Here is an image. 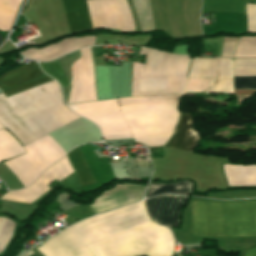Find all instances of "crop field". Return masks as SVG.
<instances>
[{"mask_svg": "<svg viewBox=\"0 0 256 256\" xmlns=\"http://www.w3.org/2000/svg\"><path fill=\"white\" fill-rule=\"evenodd\" d=\"M23 148L27 153L10 159L4 164L13 171L24 187L33 182L44 168L66 154L49 134Z\"/></svg>", "mask_w": 256, "mask_h": 256, "instance_id": "obj_5", "label": "crop field"}, {"mask_svg": "<svg viewBox=\"0 0 256 256\" xmlns=\"http://www.w3.org/2000/svg\"><path fill=\"white\" fill-rule=\"evenodd\" d=\"M247 32H256V5L246 4Z\"/></svg>", "mask_w": 256, "mask_h": 256, "instance_id": "obj_22", "label": "crop field"}, {"mask_svg": "<svg viewBox=\"0 0 256 256\" xmlns=\"http://www.w3.org/2000/svg\"><path fill=\"white\" fill-rule=\"evenodd\" d=\"M94 37H78L64 39L56 44H50L45 48L36 49L29 48L22 51L21 54L29 59H37L41 61H50L58 56L71 52L81 47L93 46Z\"/></svg>", "mask_w": 256, "mask_h": 256, "instance_id": "obj_11", "label": "crop field"}, {"mask_svg": "<svg viewBox=\"0 0 256 256\" xmlns=\"http://www.w3.org/2000/svg\"><path fill=\"white\" fill-rule=\"evenodd\" d=\"M146 186L129 184L116 185L115 188L103 192L91 205L95 214L112 210L132 202L141 200Z\"/></svg>", "mask_w": 256, "mask_h": 256, "instance_id": "obj_10", "label": "crop field"}, {"mask_svg": "<svg viewBox=\"0 0 256 256\" xmlns=\"http://www.w3.org/2000/svg\"><path fill=\"white\" fill-rule=\"evenodd\" d=\"M256 57V37H240L237 41L234 58Z\"/></svg>", "mask_w": 256, "mask_h": 256, "instance_id": "obj_18", "label": "crop field"}, {"mask_svg": "<svg viewBox=\"0 0 256 256\" xmlns=\"http://www.w3.org/2000/svg\"><path fill=\"white\" fill-rule=\"evenodd\" d=\"M241 256H256V246L246 249Z\"/></svg>", "mask_w": 256, "mask_h": 256, "instance_id": "obj_23", "label": "crop field"}, {"mask_svg": "<svg viewBox=\"0 0 256 256\" xmlns=\"http://www.w3.org/2000/svg\"><path fill=\"white\" fill-rule=\"evenodd\" d=\"M80 53L81 57L71 66L72 82L67 104L96 100L92 48L82 49Z\"/></svg>", "mask_w": 256, "mask_h": 256, "instance_id": "obj_6", "label": "crop field"}, {"mask_svg": "<svg viewBox=\"0 0 256 256\" xmlns=\"http://www.w3.org/2000/svg\"><path fill=\"white\" fill-rule=\"evenodd\" d=\"M74 114L54 80L6 98L0 94V123L23 145L79 118Z\"/></svg>", "mask_w": 256, "mask_h": 256, "instance_id": "obj_2", "label": "crop field"}, {"mask_svg": "<svg viewBox=\"0 0 256 256\" xmlns=\"http://www.w3.org/2000/svg\"><path fill=\"white\" fill-rule=\"evenodd\" d=\"M14 222L0 217V253L3 251L5 245L12 235Z\"/></svg>", "mask_w": 256, "mask_h": 256, "instance_id": "obj_20", "label": "crop field"}, {"mask_svg": "<svg viewBox=\"0 0 256 256\" xmlns=\"http://www.w3.org/2000/svg\"><path fill=\"white\" fill-rule=\"evenodd\" d=\"M140 54L146 65L132 62L131 96L182 93L190 57L142 47Z\"/></svg>", "mask_w": 256, "mask_h": 256, "instance_id": "obj_3", "label": "crop field"}, {"mask_svg": "<svg viewBox=\"0 0 256 256\" xmlns=\"http://www.w3.org/2000/svg\"><path fill=\"white\" fill-rule=\"evenodd\" d=\"M191 122L192 118L190 114H180L174 134L164 147L188 150L191 152L198 140L197 132L190 128Z\"/></svg>", "mask_w": 256, "mask_h": 256, "instance_id": "obj_12", "label": "crop field"}, {"mask_svg": "<svg viewBox=\"0 0 256 256\" xmlns=\"http://www.w3.org/2000/svg\"><path fill=\"white\" fill-rule=\"evenodd\" d=\"M71 173H73V171L66 156H64L60 161L46 169L42 175L27 188L20 191H8L1 199L31 203L49 190L46 186L55 179L60 182Z\"/></svg>", "mask_w": 256, "mask_h": 256, "instance_id": "obj_7", "label": "crop field"}, {"mask_svg": "<svg viewBox=\"0 0 256 256\" xmlns=\"http://www.w3.org/2000/svg\"><path fill=\"white\" fill-rule=\"evenodd\" d=\"M192 185L188 181L174 184L149 183L145 197H152L163 193H180L191 195Z\"/></svg>", "mask_w": 256, "mask_h": 256, "instance_id": "obj_16", "label": "crop field"}, {"mask_svg": "<svg viewBox=\"0 0 256 256\" xmlns=\"http://www.w3.org/2000/svg\"><path fill=\"white\" fill-rule=\"evenodd\" d=\"M208 78L187 79L185 91H204L208 89Z\"/></svg>", "mask_w": 256, "mask_h": 256, "instance_id": "obj_21", "label": "crop field"}, {"mask_svg": "<svg viewBox=\"0 0 256 256\" xmlns=\"http://www.w3.org/2000/svg\"><path fill=\"white\" fill-rule=\"evenodd\" d=\"M234 75H256V59H234ZM234 89H256V76H234Z\"/></svg>", "mask_w": 256, "mask_h": 256, "instance_id": "obj_14", "label": "crop field"}, {"mask_svg": "<svg viewBox=\"0 0 256 256\" xmlns=\"http://www.w3.org/2000/svg\"><path fill=\"white\" fill-rule=\"evenodd\" d=\"M52 80L43 74L34 61L0 76V90L6 95Z\"/></svg>", "mask_w": 256, "mask_h": 256, "instance_id": "obj_9", "label": "crop field"}, {"mask_svg": "<svg viewBox=\"0 0 256 256\" xmlns=\"http://www.w3.org/2000/svg\"><path fill=\"white\" fill-rule=\"evenodd\" d=\"M24 153V150L8 131L3 128L0 130V161L15 157Z\"/></svg>", "mask_w": 256, "mask_h": 256, "instance_id": "obj_17", "label": "crop field"}, {"mask_svg": "<svg viewBox=\"0 0 256 256\" xmlns=\"http://www.w3.org/2000/svg\"><path fill=\"white\" fill-rule=\"evenodd\" d=\"M194 236H256V202H192Z\"/></svg>", "mask_w": 256, "mask_h": 256, "instance_id": "obj_4", "label": "crop field"}, {"mask_svg": "<svg viewBox=\"0 0 256 256\" xmlns=\"http://www.w3.org/2000/svg\"><path fill=\"white\" fill-rule=\"evenodd\" d=\"M40 66L43 72L57 80L60 83L61 87L69 84L58 61L42 64Z\"/></svg>", "mask_w": 256, "mask_h": 256, "instance_id": "obj_19", "label": "crop field"}, {"mask_svg": "<svg viewBox=\"0 0 256 256\" xmlns=\"http://www.w3.org/2000/svg\"><path fill=\"white\" fill-rule=\"evenodd\" d=\"M3 39L0 37V42L2 41Z\"/></svg>", "mask_w": 256, "mask_h": 256, "instance_id": "obj_25", "label": "crop field"}, {"mask_svg": "<svg viewBox=\"0 0 256 256\" xmlns=\"http://www.w3.org/2000/svg\"><path fill=\"white\" fill-rule=\"evenodd\" d=\"M24 256H38L37 254H35L32 250L29 251L28 253H26Z\"/></svg>", "mask_w": 256, "mask_h": 256, "instance_id": "obj_24", "label": "crop field"}, {"mask_svg": "<svg viewBox=\"0 0 256 256\" xmlns=\"http://www.w3.org/2000/svg\"><path fill=\"white\" fill-rule=\"evenodd\" d=\"M180 96L133 97L68 106L97 124L104 140L134 138L148 146H159L172 134Z\"/></svg>", "mask_w": 256, "mask_h": 256, "instance_id": "obj_1", "label": "crop field"}, {"mask_svg": "<svg viewBox=\"0 0 256 256\" xmlns=\"http://www.w3.org/2000/svg\"><path fill=\"white\" fill-rule=\"evenodd\" d=\"M188 197L180 195H161L145 200L149 220L165 225L179 226L181 209Z\"/></svg>", "mask_w": 256, "mask_h": 256, "instance_id": "obj_8", "label": "crop field"}, {"mask_svg": "<svg viewBox=\"0 0 256 256\" xmlns=\"http://www.w3.org/2000/svg\"><path fill=\"white\" fill-rule=\"evenodd\" d=\"M67 156L81 186L95 183L78 147Z\"/></svg>", "mask_w": 256, "mask_h": 256, "instance_id": "obj_15", "label": "crop field"}, {"mask_svg": "<svg viewBox=\"0 0 256 256\" xmlns=\"http://www.w3.org/2000/svg\"><path fill=\"white\" fill-rule=\"evenodd\" d=\"M62 2L71 34L91 30L83 0H62Z\"/></svg>", "mask_w": 256, "mask_h": 256, "instance_id": "obj_13", "label": "crop field"}]
</instances>
